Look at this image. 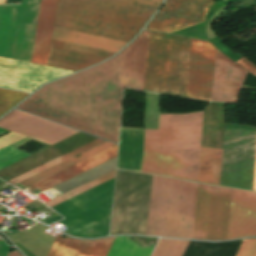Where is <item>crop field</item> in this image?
Segmentation results:
<instances>
[{
  "instance_id": "1",
  "label": "crop field",
  "mask_w": 256,
  "mask_h": 256,
  "mask_svg": "<svg viewBox=\"0 0 256 256\" xmlns=\"http://www.w3.org/2000/svg\"><path fill=\"white\" fill-rule=\"evenodd\" d=\"M147 35L109 61L46 85L17 108L118 143L123 86L142 90Z\"/></svg>"
},
{
  "instance_id": "2",
  "label": "crop field",
  "mask_w": 256,
  "mask_h": 256,
  "mask_svg": "<svg viewBox=\"0 0 256 256\" xmlns=\"http://www.w3.org/2000/svg\"><path fill=\"white\" fill-rule=\"evenodd\" d=\"M203 112L160 115L145 129L142 172L197 181Z\"/></svg>"
},
{
  "instance_id": "3",
  "label": "crop field",
  "mask_w": 256,
  "mask_h": 256,
  "mask_svg": "<svg viewBox=\"0 0 256 256\" xmlns=\"http://www.w3.org/2000/svg\"><path fill=\"white\" fill-rule=\"evenodd\" d=\"M163 0H59L56 27L129 42Z\"/></svg>"
},
{
  "instance_id": "4",
  "label": "crop field",
  "mask_w": 256,
  "mask_h": 256,
  "mask_svg": "<svg viewBox=\"0 0 256 256\" xmlns=\"http://www.w3.org/2000/svg\"><path fill=\"white\" fill-rule=\"evenodd\" d=\"M196 187L153 176L146 235L191 239Z\"/></svg>"
},
{
  "instance_id": "5",
  "label": "crop field",
  "mask_w": 256,
  "mask_h": 256,
  "mask_svg": "<svg viewBox=\"0 0 256 256\" xmlns=\"http://www.w3.org/2000/svg\"><path fill=\"white\" fill-rule=\"evenodd\" d=\"M190 39L149 31L143 90L185 97Z\"/></svg>"
},
{
  "instance_id": "6",
  "label": "crop field",
  "mask_w": 256,
  "mask_h": 256,
  "mask_svg": "<svg viewBox=\"0 0 256 256\" xmlns=\"http://www.w3.org/2000/svg\"><path fill=\"white\" fill-rule=\"evenodd\" d=\"M152 176L117 170L112 234H144Z\"/></svg>"
},
{
  "instance_id": "7",
  "label": "crop field",
  "mask_w": 256,
  "mask_h": 256,
  "mask_svg": "<svg viewBox=\"0 0 256 256\" xmlns=\"http://www.w3.org/2000/svg\"><path fill=\"white\" fill-rule=\"evenodd\" d=\"M256 128L225 125L220 185L252 190Z\"/></svg>"
},
{
  "instance_id": "8",
  "label": "crop field",
  "mask_w": 256,
  "mask_h": 256,
  "mask_svg": "<svg viewBox=\"0 0 256 256\" xmlns=\"http://www.w3.org/2000/svg\"><path fill=\"white\" fill-rule=\"evenodd\" d=\"M231 194L230 188L198 183L192 239H227Z\"/></svg>"
},
{
  "instance_id": "9",
  "label": "crop field",
  "mask_w": 256,
  "mask_h": 256,
  "mask_svg": "<svg viewBox=\"0 0 256 256\" xmlns=\"http://www.w3.org/2000/svg\"><path fill=\"white\" fill-rule=\"evenodd\" d=\"M72 72L44 65L0 58V87L31 92L45 82Z\"/></svg>"
},
{
  "instance_id": "10",
  "label": "crop field",
  "mask_w": 256,
  "mask_h": 256,
  "mask_svg": "<svg viewBox=\"0 0 256 256\" xmlns=\"http://www.w3.org/2000/svg\"><path fill=\"white\" fill-rule=\"evenodd\" d=\"M215 0H166L146 28L172 33L203 22Z\"/></svg>"
},
{
  "instance_id": "11",
  "label": "crop field",
  "mask_w": 256,
  "mask_h": 256,
  "mask_svg": "<svg viewBox=\"0 0 256 256\" xmlns=\"http://www.w3.org/2000/svg\"><path fill=\"white\" fill-rule=\"evenodd\" d=\"M214 53L209 42L191 39L186 97L210 100Z\"/></svg>"
},
{
  "instance_id": "12",
  "label": "crop field",
  "mask_w": 256,
  "mask_h": 256,
  "mask_svg": "<svg viewBox=\"0 0 256 256\" xmlns=\"http://www.w3.org/2000/svg\"><path fill=\"white\" fill-rule=\"evenodd\" d=\"M0 127L49 145L79 132L18 110L0 119Z\"/></svg>"
},
{
  "instance_id": "13",
  "label": "crop field",
  "mask_w": 256,
  "mask_h": 256,
  "mask_svg": "<svg viewBox=\"0 0 256 256\" xmlns=\"http://www.w3.org/2000/svg\"><path fill=\"white\" fill-rule=\"evenodd\" d=\"M247 73L217 50L212 100L237 103Z\"/></svg>"
},
{
  "instance_id": "14",
  "label": "crop field",
  "mask_w": 256,
  "mask_h": 256,
  "mask_svg": "<svg viewBox=\"0 0 256 256\" xmlns=\"http://www.w3.org/2000/svg\"><path fill=\"white\" fill-rule=\"evenodd\" d=\"M111 55L113 53L52 40L47 65L78 71Z\"/></svg>"
},
{
  "instance_id": "15",
  "label": "crop field",
  "mask_w": 256,
  "mask_h": 256,
  "mask_svg": "<svg viewBox=\"0 0 256 256\" xmlns=\"http://www.w3.org/2000/svg\"><path fill=\"white\" fill-rule=\"evenodd\" d=\"M256 236V193L233 189L228 239Z\"/></svg>"
},
{
  "instance_id": "16",
  "label": "crop field",
  "mask_w": 256,
  "mask_h": 256,
  "mask_svg": "<svg viewBox=\"0 0 256 256\" xmlns=\"http://www.w3.org/2000/svg\"><path fill=\"white\" fill-rule=\"evenodd\" d=\"M57 0H41L31 62L46 65Z\"/></svg>"
},
{
  "instance_id": "17",
  "label": "crop field",
  "mask_w": 256,
  "mask_h": 256,
  "mask_svg": "<svg viewBox=\"0 0 256 256\" xmlns=\"http://www.w3.org/2000/svg\"><path fill=\"white\" fill-rule=\"evenodd\" d=\"M114 238L84 241L57 235L47 256H106Z\"/></svg>"
},
{
  "instance_id": "18",
  "label": "crop field",
  "mask_w": 256,
  "mask_h": 256,
  "mask_svg": "<svg viewBox=\"0 0 256 256\" xmlns=\"http://www.w3.org/2000/svg\"><path fill=\"white\" fill-rule=\"evenodd\" d=\"M144 129L121 128L118 168L141 172Z\"/></svg>"
},
{
  "instance_id": "19",
  "label": "crop field",
  "mask_w": 256,
  "mask_h": 256,
  "mask_svg": "<svg viewBox=\"0 0 256 256\" xmlns=\"http://www.w3.org/2000/svg\"><path fill=\"white\" fill-rule=\"evenodd\" d=\"M117 145L97 154L94 155L76 165H73L53 176H50L34 185V188L38 189L39 191L43 192L65 180H68L90 168H93L113 157L116 156Z\"/></svg>"
},
{
  "instance_id": "20",
  "label": "crop field",
  "mask_w": 256,
  "mask_h": 256,
  "mask_svg": "<svg viewBox=\"0 0 256 256\" xmlns=\"http://www.w3.org/2000/svg\"><path fill=\"white\" fill-rule=\"evenodd\" d=\"M52 39L116 53L126 42L54 27Z\"/></svg>"
},
{
  "instance_id": "21",
  "label": "crop field",
  "mask_w": 256,
  "mask_h": 256,
  "mask_svg": "<svg viewBox=\"0 0 256 256\" xmlns=\"http://www.w3.org/2000/svg\"><path fill=\"white\" fill-rule=\"evenodd\" d=\"M222 150L201 148L198 181L219 185Z\"/></svg>"
},
{
  "instance_id": "22",
  "label": "crop field",
  "mask_w": 256,
  "mask_h": 256,
  "mask_svg": "<svg viewBox=\"0 0 256 256\" xmlns=\"http://www.w3.org/2000/svg\"><path fill=\"white\" fill-rule=\"evenodd\" d=\"M113 145H115V144L105 142V143H103V144H101V145H99V146H97V147H95V148H93L89 151H86V152H84V153H82V154H80V155H78V156H76V157H74L70 160H67V161H65V162H63V163H61V164H59V165H57L53 168H50V169H48V170H46V171H44V172H42V173H40V174H38L34 177H31V178H29V179H27V180H25V181H23L19 184L26 188V187H28V186H30V185H32V184H34V183H36L40 180L52 175V174H55V173L65 169V168H67V167H69L73 164H76V163H78V162H80V161H82V160H84V159H86V158H88V157H90L94 154H97V153H99V152H101V151H103V150H105V149H107V148H109Z\"/></svg>"
},
{
  "instance_id": "23",
  "label": "crop field",
  "mask_w": 256,
  "mask_h": 256,
  "mask_svg": "<svg viewBox=\"0 0 256 256\" xmlns=\"http://www.w3.org/2000/svg\"><path fill=\"white\" fill-rule=\"evenodd\" d=\"M129 236L116 237L107 256H149L153 247L137 245L128 239Z\"/></svg>"
},
{
  "instance_id": "24",
  "label": "crop field",
  "mask_w": 256,
  "mask_h": 256,
  "mask_svg": "<svg viewBox=\"0 0 256 256\" xmlns=\"http://www.w3.org/2000/svg\"><path fill=\"white\" fill-rule=\"evenodd\" d=\"M102 140L97 139V140H95V141H93V142H91V143H89V144H87L85 146H82V147H80V148H78V149H76V150H74V151H72L70 153H67V154H65V155H63V156H61V157H59V158H57L55 160H52V161H50V162H48V163H46V164H44V165H42V166H40L38 168H35V169H33V170L23 174V175H20V176L14 178V179H12V180H10L8 182L13 184V185H15V184H17V183H19V182H21V181H23V180L33 176V175H36V174H38V173H40V172H42V171H44V170H46V169H48V168H50L52 166H55V165L65 161V160H67L69 158H72V157H74V156H76V155H78V154H80V153H82V152H84V151H86L88 149H91V148H93V147H95V146L105 142V141H102Z\"/></svg>"
},
{
  "instance_id": "25",
  "label": "crop field",
  "mask_w": 256,
  "mask_h": 256,
  "mask_svg": "<svg viewBox=\"0 0 256 256\" xmlns=\"http://www.w3.org/2000/svg\"><path fill=\"white\" fill-rule=\"evenodd\" d=\"M189 241L160 239L152 256H182Z\"/></svg>"
},
{
  "instance_id": "26",
  "label": "crop field",
  "mask_w": 256,
  "mask_h": 256,
  "mask_svg": "<svg viewBox=\"0 0 256 256\" xmlns=\"http://www.w3.org/2000/svg\"><path fill=\"white\" fill-rule=\"evenodd\" d=\"M31 139L26 138L22 141H19L13 145H10L6 148H3L0 150V169L13 164L27 156H29L28 154L24 153V152H20L15 150L14 148L29 141Z\"/></svg>"
},
{
  "instance_id": "27",
  "label": "crop field",
  "mask_w": 256,
  "mask_h": 256,
  "mask_svg": "<svg viewBox=\"0 0 256 256\" xmlns=\"http://www.w3.org/2000/svg\"><path fill=\"white\" fill-rule=\"evenodd\" d=\"M114 173H115V170L110 172V173H108V174H106V175H104V176H102V177H100V178H98V179H96V180H94V181H91V182H89V183H87V184H85V185H83V186H81V187H79V188L69 192V193H66V194H64V195H62V196H60V197H58V198H56V199L46 203V204L48 206L52 207V206H54V205H56V204H58V203H60V202H62L64 200H67V199H69V198H71V197H73V196H75V195H77V194H79L81 192H84V191H86V190H88V189H90V188H92V187H94L96 185H99V184H101V183H103V182L113 178L114 177Z\"/></svg>"
},
{
  "instance_id": "28",
  "label": "crop field",
  "mask_w": 256,
  "mask_h": 256,
  "mask_svg": "<svg viewBox=\"0 0 256 256\" xmlns=\"http://www.w3.org/2000/svg\"><path fill=\"white\" fill-rule=\"evenodd\" d=\"M28 93H22L0 88V115L26 97Z\"/></svg>"
},
{
  "instance_id": "29",
  "label": "crop field",
  "mask_w": 256,
  "mask_h": 256,
  "mask_svg": "<svg viewBox=\"0 0 256 256\" xmlns=\"http://www.w3.org/2000/svg\"><path fill=\"white\" fill-rule=\"evenodd\" d=\"M236 256H256V239L243 240Z\"/></svg>"
},
{
  "instance_id": "30",
  "label": "crop field",
  "mask_w": 256,
  "mask_h": 256,
  "mask_svg": "<svg viewBox=\"0 0 256 256\" xmlns=\"http://www.w3.org/2000/svg\"><path fill=\"white\" fill-rule=\"evenodd\" d=\"M23 138H25V137L10 132L7 135L0 138V148L5 147L9 144H12L18 140L23 139Z\"/></svg>"
},
{
  "instance_id": "31",
  "label": "crop field",
  "mask_w": 256,
  "mask_h": 256,
  "mask_svg": "<svg viewBox=\"0 0 256 256\" xmlns=\"http://www.w3.org/2000/svg\"><path fill=\"white\" fill-rule=\"evenodd\" d=\"M236 63H238L240 66L246 68L249 70V72H251L253 75L256 76V66L253 65L252 63H250L249 61H247L245 58H241L239 61H237Z\"/></svg>"
},
{
  "instance_id": "32",
  "label": "crop field",
  "mask_w": 256,
  "mask_h": 256,
  "mask_svg": "<svg viewBox=\"0 0 256 256\" xmlns=\"http://www.w3.org/2000/svg\"><path fill=\"white\" fill-rule=\"evenodd\" d=\"M7 256H22V255L19 254V253L15 250V252H11V253H9Z\"/></svg>"
},
{
  "instance_id": "33",
  "label": "crop field",
  "mask_w": 256,
  "mask_h": 256,
  "mask_svg": "<svg viewBox=\"0 0 256 256\" xmlns=\"http://www.w3.org/2000/svg\"><path fill=\"white\" fill-rule=\"evenodd\" d=\"M253 190H256V164H255V175H254V185Z\"/></svg>"
},
{
  "instance_id": "34",
  "label": "crop field",
  "mask_w": 256,
  "mask_h": 256,
  "mask_svg": "<svg viewBox=\"0 0 256 256\" xmlns=\"http://www.w3.org/2000/svg\"><path fill=\"white\" fill-rule=\"evenodd\" d=\"M0 4H6V0H0Z\"/></svg>"
},
{
  "instance_id": "35",
  "label": "crop field",
  "mask_w": 256,
  "mask_h": 256,
  "mask_svg": "<svg viewBox=\"0 0 256 256\" xmlns=\"http://www.w3.org/2000/svg\"><path fill=\"white\" fill-rule=\"evenodd\" d=\"M57 214H55V215H53V216H51V217H49L48 219H50V218H52V217H54V216H56Z\"/></svg>"
}]
</instances>
